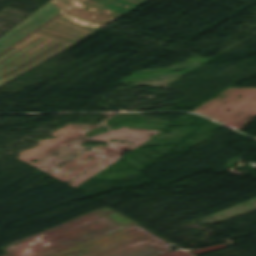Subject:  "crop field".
Masks as SVG:
<instances>
[{
	"label": "crop field",
	"instance_id": "4",
	"mask_svg": "<svg viewBox=\"0 0 256 256\" xmlns=\"http://www.w3.org/2000/svg\"><path fill=\"white\" fill-rule=\"evenodd\" d=\"M82 1L83 0H51L46 5L68 11Z\"/></svg>",
	"mask_w": 256,
	"mask_h": 256
},
{
	"label": "crop field",
	"instance_id": "1",
	"mask_svg": "<svg viewBox=\"0 0 256 256\" xmlns=\"http://www.w3.org/2000/svg\"><path fill=\"white\" fill-rule=\"evenodd\" d=\"M146 1H83L0 56V86Z\"/></svg>",
	"mask_w": 256,
	"mask_h": 256
},
{
	"label": "crop field",
	"instance_id": "3",
	"mask_svg": "<svg viewBox=\"0 0 256 256\" xmlns=\"http://www.w3.org/2000/svg\"><path fill=\"white\" fill-rule=\"evenodd\" d=\"M66 11L44 5L0 37V47L14 46Z\"/></svg>",
	"mask_w": 256,
	"mask_h": 256
},
{
	"label": "crop field",
	"instance_id": "2",
	"mask_svg": "<svg viewBox=\"0 0 256 256\" xmlns=\"http://www.w3.org/2000/svg\"><path fill=\"white\" fill-rule=\"evenodd\" d=\"M137 225L105 207L0 249L5 256H58ZM26 239L28 241L12 246Z\"/></svg>",
	"mask_w": 256,
	"mask_h": 256
},
{
	"label": "crop field",
	"instance_id": "5",
	"mask_svg": "<svg viewBox=\"0 0 256 256\" xmlns=\"http://www.w3.org/2000/svg\"><path fill=\"white\" fill-rule=\"evenodd\" d=\"M11 47H3V48H0V55L2 53H4L5 51H7L8 49H10Z\"/></svg>",
	"mask_w": 256,
	"mask_h": 256
}]
</instances>
